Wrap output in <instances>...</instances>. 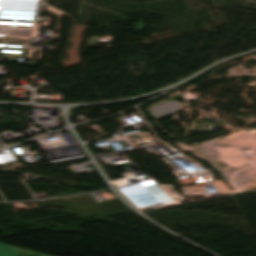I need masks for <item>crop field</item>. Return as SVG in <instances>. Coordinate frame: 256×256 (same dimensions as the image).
Listing matches in <instances>:
<instances>
[{"mask_svg": "<svg viewBox=\"0 0 256 256\" xmlns=\"http://www.w3.org/2000/svg\"><path fill=\"white\" fill-rule=\"evenodd\" d=\"M20 253H35V252H31V251L21 249ZM42 256H46V255H42Z\"/></svg>", "mask_w": 256, "mask_h": 256, "instance_id": "obj_3", "label": "crop field"}, {"mask_svg": "<svg viewBox=\"0 0 256 256\" xmlns=\"http://www.w3.org/2000/svg\"><path fill=\"white\" fill-rule=\"evenodd\" d=\"M19 256H41L40 254H20Z\"/></svg>", "mask_w": 256, "mask_h": 256, "instance_id": "obj_2", "label": "crop field"}, {"mask_svg": "<svg viewBox=\"0 0 256 256\" xmlns=\"http://www.w3.org/2000/svg\"><path fill=\"white\" fill-rule=\"evenodd\" d=\"M20 248L0 243V256H18Z\"/></svg>", "mask_w": 256, "mask_h": 256, "instance_id": "obj_1", "label": "crop field"}]
</instances>
